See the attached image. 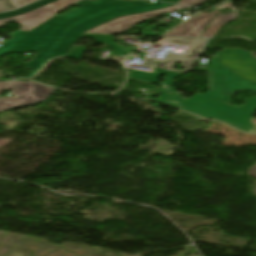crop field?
Instances as JSON below:
<instances>
[{"label": "crop field", "instance_id": "8a807250", "mask_svg": "<svg viewBox=\"0 0 256 256\" xmlns=\"http://www.w3.org/2000/svg\"><path fill=\"white\" fill-rule=\"evenodd\" d=\"M169 5L158 2L145 4L140 1L82 0L74 4L80 6L79 9L63 16H54L31 32L16 31L13 39L3 42L0 55L11 52L12 47L39 49L34 60L25 64L32 70L27 78L32 79L52 60L67 56L84 31L120 15Z\"/></svg>", "mask_w": 256, "mask_h": 256}, {"label": "crop field", "instance_id": "ac0d7876", "mask_svg": "<svg viewBox=\"0 0 256 256\" xmlns=\"http://www.w3.org/2000/svg\"><path fill=\"white\" fill-rule=\"evenodd\" d=\"M176 91L169 87L161 86V95L158 101L193 112L205 118L221 120L233 127L246 132L254 133L250 124L255 105L247 104L240 108L228 106L229 100L220 99L203 94H195L188 101L175 97Z\"/></svg>", "mask_w": 256, "mask_h": 256}, {"label": "crop field", "instance_id": "34b2d1b8", "mask_svg": "<svg viewBox=\"0 0 256 256\" xmlns=\"http://www.w3.org/2000/svg\"><path fill=\"white\" fill-rule=\"evenodd\" d=\"M79 0H41L16 11L0 14V26L12 20L21 24L19 30L30 31L54 16L56 10L66 8Z\"/></svg>", "mask_w": 256, "mask_h": 256}, {"label": "crop field", "instance_id": "412701ff", "mask_svg": "<svg viewBox=\"0 0 256 256\" xmlns=\"http://www.w3.org/2000/svg\"><path fill=\"white\" fill-rule=\"evenodd\" d=\"M219 59H211L209 68V92L204 93L232 100L238 90L256 93V83L243 79L221 64Z\"/></svg>", "mask_w": 256, "mask_h": 256}, {"label": "crop field", "instance_id": "f4fd0767", "mask_svg": "<svg viewBox=\"0 0 256 256\" xmlns=\"http://www.w3.org/2000/svg\"><path fill=\"white\" fill-rule=\"evenodd\" d=\"M12 98L0 97V111L23 107L45 100L55 89L32 82L12 81Z\"/></svg>", "mask_w": 256, "mask_h": 256}, {"label": "crop field", "instance_id": "dd49c442", "mask_svg": "<svg viewBox=\"0 0 256 256\" xmlns=\"http://www.w3.org/2000/svg\"><path fill=\"white\" fill-rule=\"evenodd\" d=\"M159 43L160 44L170 43V44L190 47L188 50L184 51L182 55L169 53L166 59L163 61L147 58L145 63L142 65V66L153 68L151 71L152 73L167 76L174 57L196 59L195 56L203 48L205 44V40L166 37V38H163Z\"/></svg>", "mask_w": 256, "mask_h": 256}, {"label": "crop field", "instance_id": "e52e79f7", "mask_svg": "<svg viewBox=\"0 0 256 256\" xmlns=\"http://www.w3.org/2000/svg\"><path fill=\"white\" fill-rule=\"evenodd\" d=\"M219 63L237 75L256 82V60L245 50L225 49Z\"/></svg>", "mask_w": 256, "mask_h": 256}, {"label": "crop field", "instance_id": "d8731c3e", "mask_svg": "<svg viewBox=\"0 0 256 256\" xmlns=\"http://www.w3.org/2000/svg\"><path fill=\"white\" fill-rule=\"evenodd\" d=\"M185 8H188V7L175 5L172 7L151 11V12H147L139 15H128V16L119 17L86 33L119 34L129 29L133 25L139 22L145 21L149 18L155 17L163 13L177 11Z\"/></svg>", "mask_w": 256, "mask_h": 256}, {"label": "crop field", "instance_id": "5a996713", "mask_svg": "<svg viewBox=\"0 0 256 256\" xmlns=\"http://www.w3.org/2000/svg\"><path fill=\"white\" fill-rule=\"evenodd\" d=\"M219 11L220 10H213L211 13H202L183 23L166 35L200 37L203 30L208 26Z\"/></svg>", "mask_w": 256, "mask_h": 256}, {"label": "crop field", "instance_id": "3316defc", "mask_svg": "<svg viewBox=\"0 0 256 256\" xmlns=\"http://www.w3.org/2000/svg\"><path fill=\"white\" fill-rule=\"evenodd\" d=\"M176 62L181 63V67L184 68V70H173ZM196 60H188V59H178L175 58L173 61V64L170 68V72L167 77H165L164 82L159 83L157 80L161 77L159 75L143 72V71H136L133 70L129 74V78L137 79L145 82L165 85V86H171V83L173 79L177 76H180L181 74L188 72L191 70L192 66L195 64Z\"/></svg>", "mask_w": 256, "mask_h": 256}, {"label": "crop field", "instance_id": "28ad6ade", "mask_svg": "<svg viewBox=\"0 0 256 256\" xmlns=\"http://www.w3.org/2000/svg\"><path fill=\"white\" fill-rule=\"evenodd\" d=\"M238 15V12H231L228 15L219 14L202 37H214L226 22L235 20Z\"/></svg>", "mask_w": 256, "mask_h": 256}, {"label": "crop field", "instance_id": "d1516ede", "mask_svg": "<svg viewBox=\"0 0 256 256\" xmlns=\"http://www.w3.org/2000/svg\"><path fill=\"white\" fill-rule=\"evenodd\" d=\"M83 37L94 39L97 43H107L114 49L113 56L125 58L128 54L127 51L116 45L112 39V35L84 34Z\"/></svg>", "mask_w": 256, "mask_h": 256}, {"label": "crop field", "instance_id": "22f410ed", "mask_svg": "<svg viewBox=\"0 0 256 256\" xmlns=\"http://www.w3.org/2000/svg\"><path fill=\"white\" fill-rule=\"evenodd\" d=\"M84 47L75 46L71 53L68 55L69 58L80 59L84 52Z\"/></svg>", "mask_w": 256, "mask_h": 256}, {"label": "crop field", "instance_id": "cbeb9de0", "mask_svg": "<svg viewBox=\"0 0 256 256\" xmlns=\"http://www.w3.org/2000/svg\"><path fill=\"white\" fill-rule=\"evenodd\" d=\"M12 10L8 0H0V12Z\"/></svg>", "mask_w": 256, "mask_h": 256}, {"label": "crop field", "instance_id": "5142ce71", "mask_svg": "<svg viewBox=\"0 0 256 256\" xmlns=\"http://www.w3.org/2000/svg\"><path fill=\"white\" fill-rule=\"evenodd\" d=\"M204 1H206V0H182L181 2H179V4H186V5H195V6H199V5L202 4Z\"/></svg>", "mask_w": 256, "mask_h": 256}, {"label": "crop field", "instance_id": "d9b57169", "mask_svg": "<svg viewBox=\"0 0 256 256\" xmlns=\"http://www.w3.org/2000/svg\"><path fill=\"white\" fill-rule=\"evenodd\" d=\"M11 1H12L13 5L16 8V7L22 6L24 4L30 3V2L35 1V0H11Z\"/></svg>", "mask_w": 256, "mask_h": 256}, {"label": "crop field", "instance_id": "733c2abd", "mask_svg": "<svg viewBox=\"0 0 256 256\" xmlns=\"http://www.w3.org/2000/svg\"><path fill=\"white\" fill-rule=\"evenodd\" d=\"M9 83H10V82H7V83H0V89H1V90H8Z\"/></svg>", "mask_w": 256, "mask_h": 256}, {"label": "crop field", "instance_id": "4a817a6b", "mask_svg": "<svg viewBox=\"0 0 256 256\" xmlns=\"http://www.w3.org/2000/svg\"><path fill=\"white\" fill-rule=\"evenodd\" d=\"M12 50L24 51V52H37L38 51V50H32V49H19V48H13Z\"/></svg>", "mask_w": 256, "mask_h": 256}, {"label": "crop field", "instance_id": "bc2a9ffb", "mask_svg": "<svg viewBox=\"0 0 256 256\" xmlns=\"http://www.w3.org/2000/svg\"><path fill=\"white\" fill-rule=\"evenodd\" d=\"M249 175L256 177V166L250 169ZM255 191H256V189H255Z\"/></svg>", "mask_w": 256, "mask_h": 256}, {"label": "crop field", "instance_id": "214f88e0", "mask_svg": "<svg viewBox=\"0 0 256 256\" xmlns=\"http://www.w3.org/2000/svg\"><path fill=\"white\" fill-rule=\"evenodd\" d=\"M246 102L256 105V99H253V98L248 99Z\"/></svg>", "mask_w": 256, "mask_h": 256}, {"label": "crop field", "instance_id": "92a150f3", "mask_svg": "<svg viewBox=\"0 0 256 256\" xmlns=\"http://www.w3.org/2000/svg\"><path fill=\"white\" fill-rule=\"evenodd\" d=\"M156 1H163V2H171V3H175L178 0H156Z\"/></svg>", "mask_w": 256, "mask_h": 256}]
</instances>
